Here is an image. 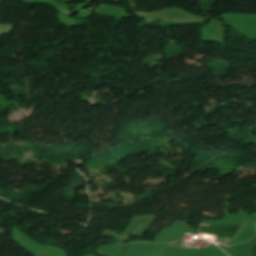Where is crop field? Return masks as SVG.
I'll list each match as a JSON object with an SVG mask.
<instances>
[{"mask_svg":"<svg viewBox=\"0 0 256 256\" xmlns=\"http://www.w3.org/2000/svg\"><path fill=\"white\" fill-rule=\"evenodd\" d=\"M151 244H129L122 256H155L160 254L163 248H161L159 245L155 246L157 244Z\"/></svg>","mask_w":256,"mask_h":256,"instance_id":"ac0d7876","label":"crop field"},{"mask_svg":"<svg viewBox=\"0 0 256 256\" xmlns=\"http://www.w3.org/2000/svg\"><path fill=\"white\" fill-rule=\"evenodd\" d=\"M208 226V224H201ZM243 224H209V227H201V233L208 235H217L218 238H233Z\"/></svg>","mask_w":256,"mask_h":256,"instance_id":"8a807250","label":"crop field"}]
</instances>
